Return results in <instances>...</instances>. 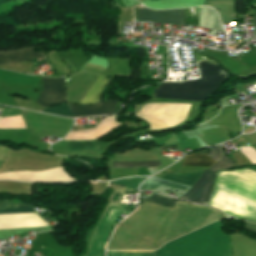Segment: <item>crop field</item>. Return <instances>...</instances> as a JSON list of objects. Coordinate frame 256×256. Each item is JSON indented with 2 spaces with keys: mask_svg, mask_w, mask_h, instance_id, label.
<instances>
[{
  "mask_svg": "<svg viewBox=\"0 0 256 256\" xmlns=\"http://www.w3.org/2000/svg\"><path fill=\"white\" fill-rule=\"evenodd\" d=\"M115 100H107L94 105L82 106V105H70L75 117L85 115H100V114H113L116 105Z\"/></svg>",
  "mask_w": 256,
  "mask_h": 256,
  "instance_id": "11",
  "label": "crop field"
},
{
  "mask_svg": "<svg viewBox=\"0 0 256 256\" xmlns=\"http://www.w3.org/2000/svg\"><path fill=\"white\" fill-rule=\"evenodd\" d=\"M37 215L32 205H5L0 206V217L31 216ZM48 225L41 217H15L0 218V230L45 226Z\"/></svg>",
  "mask_w": 256,
  "mask_h": 256,
  "instance_id": "5",
  "label": "crop field"
},
{
  "mask_svg": "<svg viewBox=\"0 0 256 256\" xmlns=\"http://www.w3.org/2000/svg\"><path fill=\"white\" fill-rule=\"evenodd\" d=\"M107 82V77L99 75L81 104H93L97 103L101 99L102 89Z\"/></svg>",
  "mask_w": 256,
  "mask_h": 256,
  "instance_id": "15",
  "label": "crop field"
},
{
  "mask_svg": "<svg viewBox=\"0 0 256 256\" xmlns=\"http://www.w3.org/2000/svg\"><path fill=\"white\" fill-rule=\"evenodd\" d=\"M121 124L122 123L115 120L114 116H111V117L105 118L93 129L70 132L69 135L66 136L64 140L100 139L101 137L109 133L112 129L116 128Z\"/></svg>",
  "mask_w": 256,
  "mask_h": 256,
  "instance_id": "9",
  "label": "crop field"
},
{
  "mask_svg": "<svg viewBox=\"0 0 256 256\" xmlns=\"http://www.w3.org/2000/svg\"><path fill=\"white\" fill-rule=\"evenodd\" d=\"M210 205L256 222V172L247 168L219 172Z\"/></svg>",
  "mask_w": 256,
  "mask_h": 256,
  "instance_id": "1",
  "label": "crop field"
},
{
  "mask_svg": "<svg viewBox=\"0 0 256 256\" xmlns=\"http://www.w3.org/2000/svg\"><path fill=\"white\" fill-rule=\"evenodd\" d=\"M207 150L192 154V155H198V156H208L214 160H218L221 156V148L219 147H215V148H211L209 155H207ZM208 157H197V156H187L184 160V162L182 163L183 166H210L212 165L214 162V160L208 158Z\"/></svg>",
  "mask_w": 256,
  "mask_h": 256,
  "instance_id": "14",
  "label": "crop field"
},
{
  "mask_svg": "<svg viewBox=\"0 0 256 256\" xmlns=\"http://www.w3.org/2000/svg\"><path fill=\"white\" fill-rule=\"evenodd\" d=\"M154 251H107V256H153Z\"/></svg>",
  "mask_w": 256,
  "mask_h": 256,
  "instance_id": "17",
  "label": "crop field"
},
{
  "mask_svg": "<svg viewBox=\"0 0 256 256\" xmlns=\"http://www.w3.org/2000/svg\"><path fill=\"white\" fill-rule=\"evenodd\" d=\"M255 29H256V15H255Z\"/></svg>",
  "mask_w": 256,
  "mask_h": 256,
  "instance_id": "22",
  "label": "crop field"
},
{
  "mask_svg": "<svg viewBox=\"0 0 256 256\" xmlns=\"http://www.w3.org/2000/svg\"><path fill=\"white\" fill-rule=\"evenodd\" d=\"M148 202H151V203H154V204H158V205H161V206H165V207H170L172 208L174 203H175V200H171V199H167V198H164L162 196H159L157 194H154L149 200Z\"/></svg>",
  "mask_w": 256,
  "mask_h": 256,
  "instance_id": "20",
  "label": "crop field"
},
{
  "mask_svg": "<svg viewBox=\"0 0 256 256\" xmlns=\"http://www.w3.org/2000/svg\"><path fill=\"white\" fill-rule=\"evenodd\" d=\"M203 5L218 10L222 24L236 21L235 0H205Z\"/></svg>",
  "mask_w": 256,
  "mask_h": 256,
  "instance_id": "13",
  "label": "crop field"
},
{
  "mask_svg": "<svg viewBox=\"0 0 256 256\" xmlns=\"http://www.w3.org/2000/svg\"><path fill=\"white\" fill-rule=\"evenodd\" d=\"M33 48H24L12 52H0V65L24 62L33 58H44L42 52H34Z\"/></svg>",
  "mask_w": 256,
  "mask_h": 256,
  "instance_id": "12",
  "label": "crop field"
},
{
  "mask_svg": "<svg viewBox=\"0 0 256 256\" xmlns=\"http://www.w3.org/2000/svg\"><path fill=\"white\" fill-rule=\"evenodd\" d=\"M44 112L46 113H53V114H59L65 117H73L69 107L67 106V104H63L60 106H56V107H52L50 109H46L44 110Z\"/></svg>",
  "mask_w": 256,
  "mask_h": 256,
  "instance_id": "19",
  "label": "crop field"
},
{
  "mask_svg": "<svg viewBox=\"0 0 256 256\" xmlns=\"http://www.w3.org/2000/svg\"><path fill=\"white\" fill-rule=\"evenodd\" d=\"M200 78L184 84L166 81L154 89L151 97L203 102L229 76L216 61H199Z\"/></svg>",
  "mask_w": 256,
  "mask_h": 256,
  "instance_id": "2",
  "label": "crop field"
},
{
  "mask_svg": "<svg viewBox=\"0 0 256 256\" xmlns=\"http://www.w3.org/2000/svg\"><path fill=\"white\" fill-rule=\"evenodd\" d=\"M233 166L234 163L229 160L226 155H223L222 159L218 163H216L210 170L228 169ZM216 172L217 171L205 170L200 179L196 182V184L180 198L195 203L207 205L211 195Z\"/></svg>",
  "mask_w": 256,
  "mask_h": 256,
  "instance_id": "6",
  "label": "crop field"
},
{
  "mask_svg": "<svg viewBox=\"0 0 256 256\" xmlns=\"http://www.w3.org/2000/svg\"><path fill=\"white\" fill-rule=\"evenodd\" d=\"M126 207L124 204L109 203L90 238L89 251L85 256H104L106 239L113 224L121 214H129L124 211Z\"/></svg>",
  "mask_w": 256,
  "mask_h": 256,
  "instance_id": "4",
  "label": "crop field"
},
{
  "mask_svg": "<svg viewBox=\"0 0 256 256\" xmlns=\"http://www.w3.org/2000/svg\"><path fill=\"white\" fill-rule=\"evenodd\" d=\"M139 21L162 22L167 24L184 25V9L169 11H154L137 9Z\"/></svg>",
  "mask_w": 256,
  "mask_h": 256,
  "instance_id": "10",
  "label": "crop field"
},
{
  "mask_svg": "<svg viewBox=\"0 0 256 256\" xmlns=\"http://www.w3.org/2000/svg\"><path fill=\"white\" fill-rule=\"evenodd\" d=\"M155 256H232L229 238L219 221L165 244Z\"/></svg>",
  "mask_w": 256,
  "mask_h": 256,
  "instance_id": "3",
  "label": "crop field"
},
{
  "mask_svg": "<svg viewBox=\"0 0 256 256\" xmlns=\"http://www.w3.org/2000/svg\"><path fill=\"white\" fill-rule=\"evenodd\" d=\"M145 179L146 178H144V177L126 178V179H121V180H115V181H112L110 183L118 184V185H122V186H126V187L137 189L139 184L141 182H143Z\"/></svg>",
  "mask_w": 256,
  "mask_h": 256,
  "instance_id": "18",
  "label": "crop field"
},
{
  "mask_svg": "<svg viewBox=\"0 0 256 256\" xmlns=\"http://www.w3.org/2000/svg\"><path fill=\"white\" fill-rule=\"evenodd\" d=\"M243 228L256 233V225H254V224H250V223L245 222Z\"/></svg>",
  "mask_w": 256,
  "mask_h": 256,
  "instance_id": "21",
  "label": "crop field"
},
{
  "mask_svg": "<svg viewBox=\"0 0 256 256\" xmlns=\"http://www.w3.org/2000/svg\"><path fill=\"white\" fill-rule=\"evenodd\" d=\"M203 171L195 173H185V174H172L162 178L153 176L146 182L142 183L141 190H154L160 184L164 186L174 187L182 190L188 191L190 187L199 179Z\"/></svg>",
  "mask_w": 256,
  "mask_h": 256,
  "instance_id": "7",
  "label": "crop field"
},
{
  "mask_svg": "<svg viewBox=\"0 0 256 256\" xmlns=\"http://www.w3.org/2000/svg\"><path fill=\"white\" fill-rule=\"evenodd\" d=\"M114 168H140L162 166L160 161L113 162Z\"/></svg>",
  "mask_w": 256,
  "mask_h": 256,
  "instance_id": "16",
  "label": "crop field"
},
{
  "mask_svg": "<svg viewBox=\"0 0 256 256\" xmlns=\"http://www.w3.org/2000/svg\"><path fill=\"white\" fill-rule=\"evenodd\" d=\"M65 102L67 101L63 78H43L42 94L37 103L47 108Z\"/></svg>",
  "mask_w": 256,
  "mask_h": 256,
  "instance_id": "8",
  "label": "crop field"
}]
</instances>
